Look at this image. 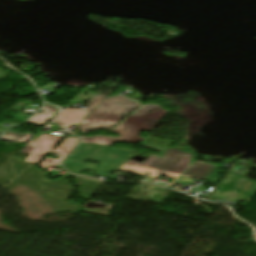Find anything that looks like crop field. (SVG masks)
I'll return each instance as SVG.
<instances>
[{"instance_id": "crop-field-1", "label": "crop field", "mask_w": 256, "mask_h": 256, "mask_svg": "<svg viewBox=\"0 0 256 256\" xmlns=\"http://www.w3.org/2000/svg\"><path fill=\"white\" fill-rule=\"evenodd\" d=\"M157 109L158 111H155ZM152 111V113H149ZM168 111L161 109L159 105L148 104L128 117L118 128L112 130L119 137L93 136L84 137L82 142H91L111 146L113 142L140 143L144 139L139 137L140 131H150L155 127ZM129 128V130H128ZM126 131V133H123Z\"/></svg>"}, {"instance_id": "crop-field-2", "label": "crop field", "mask_w": 256, "mask_h": 256, "mask_svg": "<svg viewBox=\"0 0 256 256\" xmlns=\"http://www.w3.org/2000/svg\"><path fill=\"white\" fill-rule=\"evenodd\" d=\"M108 98L110 100H107ZM113 98L116 99L113 100ZM112 101L116 104H113ZM118 102L120 104H117ZM123 105L127 108L124 109V107H122ZM100 106L102 107L99 108ZM107 106H109V108H107ZM138 106L140 105L136 102L127 100L121 96L107 97L80 125H78V127L83 132L114 127ZM110 110H112V112H110ZM104 111L106 112L103 113ZM121 113L123 116L120 115ZM90 126L94 128H90Z\"/></svg>"}, {"instance_id": "crop-field-3", "label": "crop field", "mask_w": 256, "mask_h": 256, "mask_svg": "<svg viewBox=\"0 0 256 256\" xmlns=\"http://www.w3.org/2000/svg\"><path fill=\"white\" fill-rule=\"evenodd\" d=\"M94 155V156H91ZM118 155L106 146L81 144L65 161L64 164L87 169H96L104 172ZM87 160L102 163L101 166L85 164Z\"/></svg>"}, {"instance_id": "crop-field-4", "label": "crop field", "mask_w": 256, "mask_h": 256, "mask_svg": "<svg viewBox=\"0 0 256 256\" xmlns=\"http://www.w3.org/2000/svg\"><path fill=\"white\" fill-rule=\"evenodd\" d=\"M190 160L191 156L189 153L169 148L164 156L160 158L155 166L149 171V173H152L151 177L163 175L178 179L186 167L190 164ZM175 181L170 186H172Z\"/></svg>"}, {"instance_id": "crop-field-5", "label": "crop field", "mask_w": 256, "mask_h": 256, "mask_svg": "<svg viewBox=\"0 0 256 256\" xmlns=\"http://www.w3.org/2000/svg\"><path fill=\"white\" fill-rule=\"evenodd\" d=\"M61 139V136L42 135L33 143L26 145L20 152L30 155L25 162L34 163L41 160Z\"/></svg>"}, {"instance_id": "crop-field-6", "label": "crop field", "mask_w": 256, "mask_h": 256, "mask_svg": "<svg viewBox=\"0 0 256 256\" xmlns=\"http://www.w3.org/2000/svg\"><path fill=\"white\" fill-rule=\"evenodd\" d=\"M106 97L98 94L87 106L85 110H63L55 121L63 128L67 129L71 124L81 123Z\"/></svg>"}, {"instance_id": "crop-field-7", "label": "crop field", "mask_w": 256, "mask_h": 256, "mask_svg": "<svg viewBox=\"0 0 256 256\" xmlns=\"http://www.w3.org/2000/svg\"><path fill=\"white\" fill-rule=\"evenodd\" d=\"M78 143L77 138L67 137L61 144H59L51 153L53 155L55 152L60 153V157L58 160L47 157L44 161L39 165L41 167H55L68 153L69 151Z\"/></svg>"}, {"instance_id": "crop-field-8", "label": "crop field", "mask_w": 256, "mask_h": 256, "mask_svg": "<svg viewBox=\"0 0 256 256\" xmlns=\"http://www.w3.org/2000/svg\"><path fill=\"white\" fill-rule=\"evenodd\" d=\"M214 165L203 164L195 161L191 168L186 172L184 177L196 178L204 180L209 172L213 169Z\"/></svg>"}, {"instance_id": "crop-field-9", "label": "crop field", "mask_w": 256, "mask_h": 256, "mask_svg": "<svg viewBox=\"0 0 256 256\" xmlns=\"http://www.w3.org/2000/svg\"><path fill=\"white\" fill-rule=\"evenodd\" d=\"M117 154L119 155L115 161L108 167V169L105 171L106 173H113L124 161L125 159L130 155L131 151H127L124 149H116L115 150ZM67 169H69L72 172L79 173L85 169L82 168H76V167H71V166H66L64 165Z\"/></svg>"}, {"instance_id": "crop-field-10", "label": "crop field", "mask_w": 256, "mask_h": 256, "mask_svg": "<svg viewBox=\"0 0 256 256\" xmlns=\"http://www.w3.org/2000/svg\"><path fill=\"white\" fill-rule=\"evenodd\" d=\"M41 110H43V112L42 113L37 112L28 121V123L43 126L52 117V115L58 111L56 107L50 106V105H45Z\"/></svg>"}, {"instance_id": "crop-field-11", "label": "crop field", "mask_w": 256, "mask_h": 256, "mask_svg": "<svg viewBox=\"0 0 256 256\" xmlns=\"http://www.w3.org/2000/svg\"><path fill=\"white\" fill-rule=\"evenodd\" d=\"M31 137H33L32 134H26V133H16L13 131H10L5 136L1 137L0 140H7V141H15L19 143H26Z\"/></svg>"}, {"instance_id": "crop-field-12", "label": "crop field", "mask_w": 256, "mask_h": 256, "mask_svg": "<svg viewBox=\"0 0 256 256\" xmlns=\"http://www.w3.org/2000/svg\"><path fill=\"white\" fill-rule=\"evenodd\" d=\"M151 157L152 156L148 157L144 163L128 161L126 164H129V165L135 166V167H139L142 169L150 170L154 166V164L157 162V160L159 159L157 157H154V158H151Z\"/></svg>"}]
</instances>
